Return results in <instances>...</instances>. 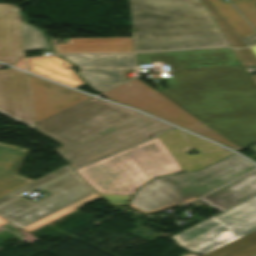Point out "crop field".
<instances>
[{
	"label": "crop field",
	"instance_id": "3316defc",
	"mask_svg": "<svg viewBox=\"0 0 256 256\" xmlns=\"http://www.w3.org/2000/svg\"><path fill=\"white\" fill-rule=\"evenodd\" d=\"M0 113L35 130L26 74L0 70Z\"/></svg>",
	"mask_w": 256,
	"mask_h": 256
},
{
	"label": "crop field",
	"instance_id": "733c2abd",
	"mask_svg": "<svg viewBox=\"0 0 256 256\" xmlns=\"http://www.w3.org/2000/svg\"><path fill=\"white\" fill-rule=\"evenodd\" d=\"M209 1L216 7L219 13L234 28L241 38L255 33L229 2L223 3L221 0ZM254 2H256V0H237L232 3L256 29V5L253 4Z\"/></svg>",
	"mask_w": 256,
	"mask_h": 256
},
{
	"label": "crop field",
	"instance_id": "5142ce71",
	"mask_svg": "<svg viewBox=\"0 0 256 256\" xmlns=\"http://www.w3.org/2000/svg\"><path fill=\"white\" fill-rule=\"evenodd\" d=\"M27 150L0 143V197L33 181L17 175Z\"/></svg>",
	"mask_w": 256,
	"mask_h": 256
},
{
	"label": "crop field",
	"instance_id": "d8731c3e",
	"mask_svg": "<svg viewBox=\"0 0 256 256\" xmlns=\"http://www.w3.org/2000/svg\"><path fill=\"white\" fill-rule=\"evenodd\" d=\"M76 64L82 79L97 93L123 82L121 71L134 68L132 54L59 55Z\"/></svg>",
	"mask_w": 256,
	"mask_h": 256
},
{
	"label": "crop field",
	"instance_id": "d9b57169",
	"mask_svg": "<svg viewBox=\"0 0 256 256\" xmlns=\"http://www.w3.org/2000/svg\"><path fill=\"white\" fill-rule=\"evenodd\" d=\"M210 219L244 237L256 231V196Z\"/></svg>",
	"mask_w": 256,
	"mask_h": 256
},
{
	"label": "crop field",
	"instance_id": "ae1a2a85",
	"mask_svg": "<svg viewBox=\"0 0 256 256\" xmlns=\"http://www.w3.org/2000/svg\"><path fill=\"white\" fill-rule=\"evenodd\" d=\"M185 256H196V255H194V254H192V253H189V254H187V255H185Z\"/></svg>",
	"mask_w": 256,
	"mask_h": 256
},
{
	"label": "crop field",
	"instance_id": "ac0d7876",
	"mask_svg": "<svg viewBox=\"0 0 256 256\" xmlns=\"http://www.w3.org/2000/svg\"><path fill=\"white\" fill-rule=\"evenodd\" d=\"M36 131L62 145L52 149L73 169L135 145L172 127L140 113L89 100L37 124Z\"/></svg>",
	"mask_w": 256,
	"mask_h": 256
},
{
	"label": "crop field",
	"instance_id": "e52e79f7",
	"mask_svg": "<svg viewBox=\"0 0 256 256\" xmlns=\"http://www.w3.org/2000/svg\"><path fill=\"white\" fill-rule=\"evenodd\" d=\"M102 95L113 101L135 106L165 120L228 145L198 120L137 78Z\"/></svg>",
	"mask_w": 256,
	"mask_h": 256
},
{
	"label": "crop field",
	"instance_id": "22f410ed",
	"mask_svg": "<svg viewBox=\"0 0 256 256\" xmlns=\"http://www.w3.org/2000/svg\"><path fill=\"white\" fill-rule=\"evenodd\" d=\"M13 5L0 4V61L13 65L23 56L19 24L27 16Z\"/></svg>",
	"mask_w": 256,
	"mask_h": 256
},
{
	"label": "crop field",
	"instance_id": "4177f3b9",
	"mask_svg": "<svg viewBox=\"0 0 256 256\" xmlns=\"http://www.w3.org/2000/svg\"><path fill=\"white\" fill-rule=\"evenodd\" d=\"M255 4H256V3H255ZM246 41L248 42V44H249L250 46L256 45V35L253 36V37H250V38L246 39Z\"/></svg>",
	"mask_w": 256,
	"mask_h": 256
},
{
	"label": "crop field",
	"instance_id": "dd49c442",
	"mask_svg": "<svg viewBox=\"0 0 256 256\" xmlns=\"http://www.w3.org/2000/svg\"><path fill=\"white\" fill-rule=\"evenodd\" d=\"M255 168L234 154L200 171L157 178L138 190L130 207L148 214L187 203Z\"/></svg>",
	"mask_w": 256,
	"mask_h": 256
},
{
	"label": "crop field",
	"instance_id": "bc2a9ffb",
	"mask_svg": "<svg viewBox=\"0 0 256 256\" xmlns=\"http://www.w3.org/2000/svg\"><path fill=\"white\" fill-rule=\"evenodd\" d=\"M62 61L64 60L56 56L28 59V71L76 88L85 86L72 70L74 66L71 64L64 66L60 63Z\"/></svg>",
	"mask_w": 256,
	"mask_h": 256
},
{
	"label": "crop field",
	"instance_id": "eef30255",
	"mask_svg": "<svg viewBox=\"0 0 256 256\" xmlns=\"http://www.w3.org/2000/svg\"><path fill=\"white\" fill-rule=\"evenodd\" d=\"M248 148H250L251 150H253L254 152H256V144H254V145H252V146H250V147H248Z\"/></svg>",
	"mask_w": 256,
	"mask_h": 256
},
{
	"label": "crop field",
	"instance_id": "cbeb9de0",
	"mask_svg": "<svg viewBox=\"0 0 256 256\" xmlns=\"http://www.w3.org/2000/svg\"><path fill=\"white\" fill-rule=\"evenodd\" d=\"M256 195V170L199 200L223 211Z\"/></svg>",
	"mask_w": 256,
	"mask_h": 256
},
{
	"label": "crop field",
	"instance_id": "750c4746",
	"mask_svg": "<svg viewBox=\"0 0 256 256\" xmlns=\"http://www.w3.org/2000/svg\"><path fill=\"white\" fill-rule=\"evenodd\" d=\"M64 63H65L64 65L69 64V63H68V62H66V61H64Z\"/></svg>",
	"mask_w": 256,
	"mask_h": 256
},
{
	"label": "crop field",
	"instance_id": "f4fd0767",
	"mask_svg": "<svg viewBox=\"0 0 256 256\" xmlns=\"http://www.w3.org/2000/svg\"><path fill=\"white\" fill-rule=\"evenodd\" d=\"M70 170L66 165L1 197L0 216L31 233L101 198L75 171L43 187L51 194L34 203L21 195Z\"/></svg>",
	"mask_w": 256,
	"mask_h": 256
},
{
	"label": "crop field",
	"instance_id": "4a817a6b",
	"mask_svg": "<svg viewBox=\"0 0 256 256\" xmlns=\"http://www.w3.org/2000/svg\"><path fill=\"white\" fill-rule=\"evenodd\" d=\"M58 54L76 52H133L131 38L68 39L54 44Z\"/></svg>",
	"mask_w": 256,
	"mask_h": 256
},
{
	"label": "crop field",
	"instance_id": "92a150f3",
	"mask_svg": "<svg viewBox=\"0 0 256 256\" xmlns=\"http://www.w3.org/2000/svg\"><path fill=\"white\" fill-rule=\"evenodd\" d=\"M21 26L25 51L52 49L44 31L29 23H23Z\"/></svg>",
	"mask_w": 256,
	"mask_h": 256
},
{
	"label": "crop field",
	"instance_id": "214f88e0",
	"mask_svg": "<svg viewBox=\"0 0 256 256\" xmlns=\"http://www.w3.org/2000/svg\"><path fill=\"white\" fill-rule=\"evenodd\" d=\"M256 255V232L211 251L203 256H254Z\"/></svg>",
	"mask_w": 256,
	"mask_h": 256
},
{
	"label": "crop field",
	"instance_id": "d3111659",
	"mask_svg": "<svg viewBox=\"0 0 256 256\" xmlns=\"http://www.w3.org/2000/svg\"><path fill=\"white\" fill-rule=\"evenodd\" d=\"M253 51H254V53L256 54V47H252L251 48Z\"/></svg>",
	"mask_w": 256,
	"mask_h": 256
},
{
	"label": "crop field",
	"instance_id": "34b2d1b8",
	"mask_svg": "<svg viewBox=\"0 0 256 256\" xmlns=\"http://www.w3.org/2000/svg\"><path fill=\"white\" fill-rule=\"evenodd\" d=\"M134 52L230 46L200 0H129Z\"/></svg>",
	"mask_w": 256,
	"mask_h": 256
},
{
	"label": "crop field",
	"instance_id": "8a807250",
	"mask_svg": "<svg viewBox=\"0 0 256 256\" xmlns=\"http://www.w3.org/2000/svg\"><path fill=\"white\" fill-rule=\"evenodd\" d=\"M137 64L162 61L175 78L159 93L235 150L256 141V84L231 48L136 54Z\"/></svg>",
	"mask_w": 256,
	"mask_h": 256
},
{
	"label": "crop field",
	"instance_id": "412701ff",
	"mask_svg": "<svg viewBox=\"0 0 256 256\" xmlns=\"http://www.w3.org/2000/svg\"><path fill=\"white\" fill-rule=\"evenodd\" d=\"M76 172L112 206L127 205L147 180L183 172L158 137L82 167Z\"/></svg>",
	"mask_w": 256,
	"mask_h": 256
},
{
	"label": "crop field",
	"instance_id": "dafd665d",
	"mask_svg": "<svg viewBox=\"0 0 256 256\" xmlns=\"http://www.w3.org/2000/svg\"><path fill=\"white\" fill-rule=\"evenodd\" d=\"M201 2L233 48L247 46L208 0H201Z\"/></svg>",
	"mask_w": 256,
	"mask_h": 256
},
{
	"label": "crop field",
	"instance_id": "00972430",
	"mask_svg": "<svg viewBox=\"0 0 256 256\" xmlns=\"http://www.w3.org/2000/svg\"><path fill=\"white\" fill-rule=\"evenodd\" d=\"M236 53L240 57L241 61L245 65V67L256 64V55L252 52V50L250 48L236 50ZM252 78L256 82V75H253Z\"/></svg>",
	"mask_w": 256,
	"mask_h": 256
},
{
	"label": "crop field",
	"instance_id": "28ad6ade",
	"mask_svg": "<svg viewBox=\"0 0 256 256\" xmlns=\"http://www.w3.org/2000/svg\"><path fill=\"white\" fill-rule=\"evenodd\" d=\"M35 123L90 96L29 76Z\"/></svg>",
	"mask_w": 256,
	"mask_h": 256
},
{
	"label": "crop field",
	"instance_id": "5a996713",
	"mask_svg": "<svg viewBox=\"0 0 256 256\" xmlns=\"http://www.w3.org/2000/svg\"><path fill=\"white\" fill-rule=\"evenodd\" d=\"M183 133L190 140L199 154L189 155L184 153V151H188L193 147L177 129L165 132L159 136L184 172L200 169L233 154L232 152L209 143L199 137L186 132Z\"/></svg>",
	"mask_w": 256,
	"mask_h": 256
},
{
	"label": "crop field",
	"instance_id": "d1516ede",
	"mask_svg": "<svg viewBox=\"0 0 256 256\" xmlns=\"http://www.w3.org/2000/svg\"><path fill=\"white\" fill-rule=\"evenodd\" d=\"M238 238L240 237L209 219L172 237L178 246L201 254Z\"/></svg>",
	"mask_w": 256,
	"mask_h": 256
},
{
	"label": "crop field",
	"instance_id": "730fd06b",
	"mask_svg": "<svg viewBox=\"0 0 256 256\" xmlns=\"http://www.w3.org/2000/svg\"><path fill=\"white\" fill-rule=\"evenodd\" d=\"M6 222H8V221L0 217V225L4 224V223H6ZM8 223H9V222H8ZM6 224H7V223H6ZM4 225H5V224H4ZM2 226H3V225H2Z\"/></svg>",
	"mask_w": 256,
	"mask_h": 256
},
{
	"label": "crop field",
	"instance_id": "a9b5d70f",
	"mask_svg": "<svg viewBox=\"0 0 256 256\" xmlns=\"http://www.w3.org/2000/svg\"><path fill=\"white\" fill-rule=\"evenodd\" d=\"M14 66L18 67V68H21L23 70H25V66H24V59L23 57L14 64Z\"/></svg>",
	"mask_w": 256,
	"mask_h": 256
}]
</instances>
